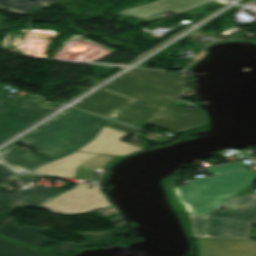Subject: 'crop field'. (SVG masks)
Returning <instances> with one entry per match:
<instances>
[{"instance_id":"1","label":"crop field","mask_w":256,"mask_h":256,"mask_svg":"<svg viewBox=\"0 0 256 256\" xmlns=\"http://www.w3.org/2000/svg\"><path fill=\"white\" fill-rule=\"evenodd\" d=\"M133 69V68H132ZM185 79L167 71L133 69L98 89L74 107L131 125L146 123L184 91Z\"/></svg>"},{"instance_id":"2","label":"crop field","mask_w":256,"mask_h":256,"mask_svg":"<svg viewBox=\"0 0 256 256\" xmlns=\"http://www.w3.org/2000/svg\"><path fill=\"white\" fill-rule=\"evenodd\" d=\"M109 121L69 108L16 141L57 160L91 141Z\"/></svg>"},{"instance_id":"3","label":"crop field","mask_w":256,"mask_h":256,"mask_svg":"<svg viewBox=\"0 0 256 256\" xmlns=\"http://www.w3.org/2000/svg\"><path fill=\"white\" fill-rule=\"evenodd\" d=\"M188 216L195 237L248 238L256 224V194L228 199L204 216Z\"/></svg>"},{"instance_id":"4","label":"crop field","mask_w":256,"mask_h":256,"mask_svg":"<svg viewBox=\"0 0 256 256\" xmlns=\"http://www.w3.org/2000/svg\"><path fill=\"white\" fill-rule=\"evenodd\" d=\"M254 180L256 176L253 173L242 169L193 180L189 185L174 187V189L187 213L204 215Z\"/></svg>"},{"instance_id":"5","label":"crop field","mask_w":256,"mask_h":256,"mask_svg":"<svg viewBox=\"0 0 256 256\" xmlns=\"http://www.w3.org/2000/svg\"><path fill=\"white\" fill-rule=\"evenodd\" d=\"M3 85L0 84V143L27 128L60 104L50 106L40 104L43 98L17 96L12 101L5 98ZM37 99L32 102L31 99Z\"/></svg>"},{"instance_id":"6","label":"crop field","mask_w":256,"mask_h":256,"mask_svg":"<svg viewBox=\"0 0 256 256\" xmlns=\"http://www.w3.org/2000/svg\"><path fill=\"white\" fill-rule=\"evenodd\" d=\"M14 207L15 206H12L10 204L0 201V234L6 235L18 241L33 245L44 251L66 252V251L74 250L80 247L95 245V244H98L99 243L98 241L100 240L110 238L111 233L113 231L119 230L122 228L121 226L116 225L112 230H109V231L77 232L76 234L87 239L86 242L80 243V244H74L72 242H56V241H52L50 239L44 238L38 234L39 231L45 230L47 228H32L29 226L16 227L13 219L3 215L6 211ZM88 236H90V238ZM46 242L56 243V247L51 250L43 249L42 246Z\"/></svg>"},{"instance_id":"7","label":"crop field","mask_w":256,"mask_h":256,"mask_svg":"<svg viewBox=\"0 0 256 256\" xmlns=\"http://www.w3.org/2000/svg\"><path fill=\"white\" fill-rule=\"evenodd\" d=\"M109 206L102 196L97 184L83 185L79 183L75 188L60 194L48 203L33 207L46 208L55 213H83Z\"/></svg>"},{"instance_id":"8","label":"crop field","mask_w":256,"mask_h":256,"mask_svg":"<svg viewBox=\"0 0 256 256\" xmlns=\"http://www.w3.org/2000/svg\"><path fill=\"white\" fill-rule=\"evenodd\" d=\"M114 157L93 153L75 152L57 161L50 162L33 172L89 180L93 169L103 170Z\"/></svg>"},{"instance_id":"9","label":"crop field","mask_w":256,"mask_h":256,"mask_svg":"<svg viewBox=\"0 0 256 256\" xmlns=\"http://www.w3.org/2000/svg\"><path fill=\"white\" fill-rule=\"evenodd\" d=\"M16 177V174L7 169L0 162V180ZM23 182L30 184L24 191L9 193L0 191V200L19 207H27L47 202L65 190L34 186L36 179L20 178Z\"/></svg>"},{"instance_id":"10","label":"crop field","mask_w":256,"mask_h":256,"mask_svg":"<svg viewBox=\"0 0 256 256\" xmlns=\"http://www.w3.org/2000/svg\"><path fill=\"white\" fill-rule=\"evenodd\" d=\"M199 256H256L253 240H197Z\"/></svg>"},{"instance_id":"11","label":"crop field","mask_w":256,"mask_h":256,"mask_svg":"<svg viewBox=\"0 0 256 256\" xmlns=\"http://www.w3.org/2000/svg\"><path fill=\"white\" fill-rule=\"evenodd\" d=\"M206 120L207 116L204 113L170 105L164 109L155 119L149 122V124L167 129L184 131L197 127L203 124Z\"/></svg>"},{"instance_id":"12","label":"crop field","mask_w":256,"mask_h":256,"mask_svg":"<svg viewBox=\"0 0 256 256\" xmlns=\"http://www.w3.org/2000/svg\"><path fill=\"white\" fill-rule=\"evenodd\" d=\"M126 135L127 133L104 126L93 141L79 150L122 156L142 149L119 140Z\"/></svg>"},{"instance_id":"13","label":"crop field","mask_w":256,"mask_h":256,"mask_svg":"<svg viewBox=\"0 0 256 256\" xmlns=\"http://www.w3.org/2000/svg\"><path fill=\"white\" fill-rule=\"evenodd\" d=\"M205 1L208 0H157L152 3L119 11V13L151 20L167 10L171 12L183 10Z\"/></svg>"},{"instance_id":"14","label":"crop field","mask_w":256,"mask_h":256,"mask_svg":"<svg viewBox=\"0 0 256 256\" xmlns=\"http://www.w3.org/2000/svg\"><path fill=\"white\" fill-rule=\"evenodd\" d=\"M0 157L7 166L29 172L47 162L54 161L39 152L18 153L12 149L0 154Z\"/></svg>"},{"instance_id":"15","label":"crop field","mask_w":256,"mask_h":256,"mask_svg":"<svg viewBox=\"0 0 256 256\" xmlns=\"http://www.w3.org/2000/svg\"><path fill=\"white\" fill-rule=\"evenodd\" d=\"M0 256H49L0 237Z\"/></svg>"},{"instance_id":"16","label":"crop field","mask_w":256,"mask_h":256,"mask_svg":"<svg viewBox=\"0 0 256 256\" xmlns=\"http://www.w3.org/2000/svg\"><path fill=\"white\" fill-rule=\"evenodd\" d=\"M51 2L60 1V0H49ZM45 3L44 0H0V7L6 10L26 13L36 4Z\"/></svg>"},{"instance_id":"17","label":"crop field","mask_w":256,"mask_h":256,"mask_svg":"<svg viewBox=\"0 0 256 256\" xmlns=\"http://www.w3.org/2000/svg\"><path fill=\"white\" fill-rule=\"evenodd\" d=\"M244 164L243 163H234V164H227V165H221V166H215L208 168V171L213 174H218L238 168H242Z\"/></svg>"},{"instance_id":"18","label":"crop field","mask_w":256,"mask_h":256,"mask_svg":"<svg viewBox=\"0 0 256 256\" xmlns=\"http://www.w3.org/2000/svg\"><path fill=\"white\" fill-rule=\"evenodd\" d=\"M107 126H110V127L115 128L117 130H120V131L130 133L132 135H134L138 131V129L131 128V127H128V126H125V125H121V124H118L114 121L108 123Z\"/></svg>"},{"instance_id":"19","label":"crop field","mask_w":256,"mask_h":256,"mask_svg":"<svg viewBox=\"0 0 256 256\" xmlns=\"http://www.w3.org/2000/svg\"><path fill=\"white\" fill-rule=\"evenodd\" d=\"M47 3H49V1L48 0H45Z\"/></svg>"}]
</instances>
